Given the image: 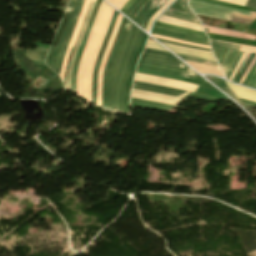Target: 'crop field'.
I'll return each mask as SVG.
<instances>
[{"instance_id": "5142ce71", "label": "crop field", "mask_w": 256, "mask_h": 256, "mask_svg": "<svg viewBox=\"0 0 256 256\" xmlns=\"http://www.w3.org/2000/svg\"><path fill=\"white\" fill-rule=\"evenodd\" d=\"M121 18H122V16L118 15V18H117V21H116V24H115V27H114L113 34H112V36L110 38L109 44H108V46H107V48L105 50V53L103 55L101 66H100V70H99L97 104L100 105V106H101V84H102V74H103L104 64L106 62V59L108 57V54H109L110 48L112 46L113 40L115 38L116 32H117L118 27L120 25Z\"/></svg>"}, {"instance_id": "4a817a6b", "label": "crop field", "mask_w": 256, "mask_h": 256, "mask_svg": "<svg viewBox=\"0 0 256 256\" xmlns=\"http://www.w3.org/2000/svg\"><path fill=\"white\" fill-rule=\"evenodd\" d=\"M226 84L237 97L256 102V91L245 87L236 86L228 82H226Z\"/></svg>"}, {"instance_id": "22f410ed", "label": "crop field", "mask_w": 256, "mask_h": 256, "mask_svg": "<svg viewBox=\"0 0 256 256\" xmlns=\"http://www.w3.org/2000/svg\"><path fill=\"white\" fill-rule=\"evenodd\" d=\"M101 1L102 0H97L95 5H94V9H93L90 21L88 23V26H87L86 32L84 34L83 40H82L81 45L79 47V50L77 52V56H76V60H75V64H74V68H73V72H72V77H71V91H75V76H76V70H77L78 62H79V59H80L81 53L83 51V48H84V45H85L88 33H89V31H90V29L92 27L95 15L97 13V10H98V7H99Z\"/></svg>"}, {"instance_id": "ac0d7876", "label": "crop field", "mask_w": 256, "mask_h": 256, "mask_svg": "<svg viewBox=\"0 0 256 256\" xmlns=\"http://www.w3.org/2000/svg\"><path fill=\"white\" fill-rule=\"evenodd\" d=\"M114 10L102 2L95 18L91 33L79 62L76 77V94L91 103V77L98 50L102 44Z\"/></svg>"}, {"instance_id": "c035e120", "label": "crop field", "mask_w": 256, "mask_h": 256, "mask_svg": "<svg viewBox=\"0 0 256 256\" xmlns=\"http://www.w3.org/2000/svg\"><path fill=\"white\" fill-rule=\"evenodd\" d=\"M148 41H150V42H154V41H151V40H148Z\"/></svg>"}, {"instance_id": "750c4746", "label": "crop field", "mask_w": 256, "mask_h": 256, "mask_svg": "<svg viewBox=\"0 0 256 256\" xmlns=\"http://www.w3.org/2000/svg\"><path fill=\"white\" fill-rule=\"evenodd\" d=\"M110 4L114 5L119 10L128 0H107Z\"/></svg>"}, {"instance_id": "dd49c442", "label": "crop field", "mask_w": 256, "mask_h": 256, "mask_svg": "<svg viewBox=\"0 0 256 256\" xmlns=\"http://www.w3.org/2000/svg\"><path fill=\"white\" fill-rule=\"evenodd\" d=\"M167 0H136L125 12L129 19L145 29L148 20Z\"/></svg>"}, {"instance_id": "120bbe31", "label": "crop field", "mask_w": 256, "mask_h": 256, "mask_svg": "<svg viewBox=\"0 0 256 256\" xmlns=\"http://www.w3.org/2000/svg\"><path fill=\"white\" fill-rule=\"evenodd\" d=\"M223 2H228V3H234V4H239V5H245L246 0H219Z\"/></svg>"}, {"instance_id": "0bd39190", "label": "crop field", "mask_w": 256, "mask_h": 256, "mask_svg": "<svg viewBox=\"0 0 256 256\" xmlns=\"http://www.w3.org/2000/svg\"><path fill=\"white\" fill-rule=\"evenodd\" d=\"M245 54H246V53H244V54H243V56H242L241 60L239 61L238 65L236 66V68H235V70H234V72H233V74H232V76H231V78H230V81L232 80V78H233V76H234V74H235V72H236V70H237V68H238L239 64H240V63H241V61L243 60V58H244Z\"/></svg>"}, {"instance_id": "e1f06a70", "label": "crop field", "mask_w": 256, "mask_h": 256, "mask_svg": "<svg viewBox=\"0 0 256 256\" xmlns=\"http://www.w3.org/2000/svg\"><path fill=\"white\" fill-rule=\"evenodd\" d=\"M227 52H228V50H227V49H224V51H223V53H222V55H221V57H220V59H219V61H218L219 65H220V63L222 62V60H223V58L225 57V55L227 54Z\"/></svg>"}, {"instance_id": "733c2abd", "label": "crop field", "mask_w": 256, "mask_h": 256, "mask_svg": "<svg viewBox=\"0 0 256 256\" xmlns=\"http://www.w3.org/2000/svg\"><path fill=\"white\" fill-rule=\"evenodd\" d=\"M182 6L184 7L187 13H182L175 10L167 9L164 15L201 25L200 21L188 9L186 5V0H182Z\"/></svg>"}, {"instance_id": "5866460e", "label": "crop field", "mask_w": 256, "mask_h": 256, "mask_svg": "<svg viewBox=\"0 0 256 256\" xmlns=\"http://www.w3.org/2000/svg\"><path fill=\"white\" fill-rule=\"evenodd\" d=\"M158 40L162 41V42H168V43L183 45V44H179V43H175V42H171V41H166V40H161V39H158ZM183 46H187V45H183ZM188 47H192V48H196V49H202V50H209L210 51V49H205V48H199V47H193V46H188Z\"/></svg>"}, {"instance_id": "cbeb9de0", "label": "crop field", "mask_w": 256, "mask_h": 256, "mask_svg": "<svg viewBox=\"0 0 256 256\" xmlns=\"http://www.w3.org/2000/svg\"><path fill=\"white\" fill-rule=\"evenodd\" d=\"M151 33L159 34V35H164V36H168V37H172V38H176V39H180V40H185V41H189V42H193V43L209 45L208 39L199 38V37H193V36H189V35L173 32V31L161 29V28L154 27V26L152 28V32Z\"/></svg>"}, {"instance_id": "28ad6ade", "label": "crop field", "mask_w": 256, "mask_h": 256, "mask_svg": "<svg viewBox=\"0 0 256 256\" xmlns=\"http://www.w3.org/2000/svg\"><path fill=\"white\" fill-rule=\"evenodd\" d=\"M116 12H114L112 21H111L109 29H108V32H107L106 37H105V39L103 41V44L101 46V49H100V52H99V55L97 57L96 64H95L94 74H93V78H92V103H94V104H96L98 69H99V65H100V61H101L102 55H103L105 47H106V45H107V43L109 41V38L111 36L112 30H113V27H114V24H115L117 15H118V13H116Z\"/></svg>"}, {"instance_id": "1d83c4d3", "label": "crop field", "mask_w": 256, "mask_h": 256, "mask_svg": "<svg viewBox=\"0 0 256 256\" xmlns=\"http://www.w3.org/2000/svg\"><path fill=\"white\" fill-rule=\"evenodd\" d=\"M131 105H133V106H139V107L152 108V109H158V110H163V111H166V110H167V109H165V108H159V107H154V106H148V105H143V104H138V103H133V102H131Z\"/></svg>"}, {"instance_id": "bc2a9ffb", "label": "crop field", "mask_w": 256, "mask_h": 256, "mask_svg": "<svg viewBox=\"0 0 256 256\" xmlns=\"http://www.w3.org/2000/svg\"><path fill=\"white\" fill-rule=\"evenodd\" d=\"M147 35L144 34L141 44H140V48L137 54V57L133 63V67H132V71H131V75H130V79H129V83H128V87H127V91H126V98H125V108H124V113H128V100H129V95H130V87H131V81H132V77H133V73H134V69H135V65H136V61L140 55V53L142 52L144 45H145V41L147 39Z\"/></svg>"}, {"instance_id": "e52e79f7", "label": "crop field", "mask_w": 256, "mask_h": 256, "mask_svg": "<svg viewBox=\"0 0 256 256\" xmlns=\"http://www.w3.org/2000/svg\"><path fill=\"white\" fill-rule=\"evenodd\" d=\"M190 9L198 15H203L211 18L223 19L229 21L232 14L249 17L251 12L215 6L195 0H188Z\"/></svg>"}, {"instance_id": "d3111659", "label": "crop field", "mask_w": 256, "mask_h": 256, "mask_svg": "<svg viewBox=\"0 0 256 256\" xmlns=\"http://www.w3.org/2000/svg\"><path fill=\"white\" fill-rule=\"evenodd\" d=\"M154 37L157 38H162V39H166V40H171V41H175V42H179V43H183V44H187V45H193V46H199V47H206V48H210L209 46H203V45H198V44H193V43H188V42H183V41H179V40H175V39H171V38H167V37H163V36H159V35H153Z\"/></svg>"}, {"instance_id": "ae1a2a85", "label": "crop field", "mask_w": 256, "mask_h": 256, "mask_svg": "<svg viewBox=\"0 0 256 256\" xmlns=\"http://www.w3.org/2000/svg\"><path fill=\"white\" fill-rule=\"evenodd\" d=\"M173 0H168L156 13L155 15L149 20L147 27L145 29V31L148 32L152 22L154 21V19L172 2Z\"/></svg>"}, {"instance_id": "eef30255", "label": "crop field", "mask_w": 256, "mask_h": 256, "mask_svg": "<svg viewBox=\"0 0 256 256\" xmlns=\"http://www.w3.org/2000/svg\"><path fill=\"white\" fill-rule=\"evenodd\" d=\"M47 53L26 50V55L30 58L44 60Z\"/></svg>"}, {"instance_id": "a9b5d70f", "label": "crop field", "mask_w": 256, "mask_h": 256, "mask_svg": "<svg viewBox=\"0 0 256 256\" xmlns=\"http://www.w3.org/2000/svg\"><path fill=\"white\" fill-rule=\"evenodd\" d=\"M132 92L138 93V94H144V95H149V96H154L162 99H167V100H172V101H177L180 102V98L177 97H172V96H166V95H160V94H154V93H149V92H144V91H139V90H134L132 89Z\"/></svg>"}, {"instance_id": "028f5c9d", "label": "crop field", "mask_w": 256, "mask_h": 256, "mask_svg": "<svg viewBox=\"0 0 256 256\" xmlns=\"http://www.w3.org/2000/svg\"><path fill=\"white\" fill-rule=\"evenodd\" d=\"M135 0H129L124 6L123 8L120 10L122 13H124V11L134 2Z\"/></svg>"}, {"instance_id": "d32e631a", "label": "crop field", "mask_w": 256, "mask_h": 256, "mask_svg": "<svg viewBox=\"0 0 256 256\" xmlns=\"http://www.w3.org/2000/svg\"><path fill=\"white\" fill-rule=\"evenodd\" d=\"M148 48H153V49H157V50H162V51H165L161 46H159L158 44H155V43H150L148 42L147 43V46ZM167 52V51H166Z\"/></svg>"}, {"instance_id": "214f88e0", "label": "crop field", "mask_w": 256, "mask_h": 256, "mask_svg": "<svg viewBox=\"0 0 256 256\" xmlns=\"http://www.w3.org/2000/svg\"><path fill=\"white\" fill-rule=\"evenodd\" d=\"M155 26L162 27V28L169 29V30H173V31H177V32H181V33H185V34H190V35H194V36L207 38L205 33L197 32V31H194V30L185 29V28H181V27L172 26V25L162 23V22H158V21H156Z\"/></svg>"}, {"instance_id": "730fd06b", "label": "crop field", "mask_w": 256, "mask_h": 256, "mask_svg": "<svg viewBox=\"0 0 256 256\" xmlns=\"http://www.w3.org/2000/svg\"><path fill=\"white\" fill-rule=\"evenodd\" d=\"M131 97H134V98H141V99H147V100L156 101V102H162V103H168V104L178 105L177 102H172V101H167V100H162V99L153 98V97H147V96H142V95L132 94Z\"/></svg>"}, {"instance_id": "92a150f3", "label": "crop field", "mask_w": 256, "mask_h": 256, "mask_svg": "<svg viewBox=\"0 0 256 256\" xmlns=\"http://www.w3.org/2000/svg\"><path fill=\"white\" fill-rule=\"evenodd\" d=\"M158 20L163 21V22H167V23H171V24H175V25H179V26H183V27H187V28H191V29H195V30H199V31H203L202 27L199 26V25H195V24H192V23L172 19V18H169V17L164 16V15H162Z\"/></svg>"}, {"instance_id": "d8731c3e", "label": "crop field", "mask_w": 256, "mask_h": 256, "mask_svg": "<svg viewBox=\"0 0 256 256\" xmlns=\"http://www.w3.org/2000/svg\"><path fill=\"white\" fill-rule=\"evenodd\" d=\"M134 80L159 84V85L176 88V89H181V90H187V91H191V92H195L196 88L198 87L197 85L189 84V83L182 82V81L154 77V76L143 75V74H138V73H136Z\"/></svg>"}, {"instance_id": "412701ff", "label": "crop field", "mask_w": 256, "mask_h": 256, "mask_svg": "<svg viewBox=\"0 0 256 256\" xmlns=\"http://www.w3.org/2000/svg\"><path fill=\"white\" fill-rule=\"evenodd\" d=\"M140 69L153 70L191 79L194 72L170 53L145 49L138 63Z\"/></svg>"}, {"instance_id": "4177f3b9", "label": "crop field", "mask_w": 256, "mask_h": 256, "mask_svg": "<svg viewBox=\"0 0 256 256\" xmlns=\"http://www.w3.org/2000/svg\"><path fill=\"white\" fill-rule=\"evenodd\" d=\"M131 101H133V102H138V103H143V104H148V105L159 106V107H165V108H175V107H176V106H174V105H168V104L150 102V101L141 100V99H134V98H131Z\"/></svg>"}, {"instance_id": "f4fd0767", "label": "crop field", "mask_w": 256, "mask_h": 256, "mask_svg": "<svg viewBox=\"0 0 256 256\" xmlns=\"http://www.w3.org/2000/svg\"><path fill=\"white\" fill-rule=\"evenodd\" d=\"M211 42V47H212V50L214 52V55L218 61L222 51L224 48H228L230 49L226 58L223 60L222 64H221V67H222V70H223V73L225 75V78L229 80L237 62L239 61L242 53L241 52H249V53H256V48L254 47H248V46H244L240 44H234V43H226V42H219V41H213V40H210ZM241 47V49H240ZM240 49L241 52H238ZM249 53L246 54L243 62L241 63L234 79H233V82H235L238 74L240 73L242 67L244 66L248 56H249ZM256 60V56L253 58L250 66L248 67V69L245 71L241 81H240V84L242 83L244 77L246 76V74L248 73L249 69L251 68V66L253 65V63L255 62ZM246 78V77H245Z\"/></svg>"}, {"instance_id": "3316defc", "label": "crop field", "mask_w": 256, "mask_h": 256, "mask_svg": "<svg viewBox=\"0 0 256 256\" xmlns=\"http://www.w3.org/2000/svg\"><path fill=\"white\" fill-rule=\"evenodd\" d=\"M93 1H95V0H93ZM93 1H91L89 6H88V9L86 11L85 17L83 19L80 31L78 33L76 42L74 44V47H73V50H72V53H71V57H70V60H69V64H68L67 71H66V77H65V91L70 90V77H71V71H72V67H73V63H74L75 53H76V50L78 48L79 42L81 40L82 34L84 32V29H85V26L87 24L88 18H89L90 13H91V10L93 8V5L95 3Z\"/></svg>"}, {"instance_id": "8a807250", "label": "crop field", "mask_w": 256, "mask_h": 256, "mask_svg": "<svg viewBox=\"0 0 256 256\" xmlns=\"http://www.w3.org/2000/svg\"><path fill=\"white\" fill-rule=\"evenodd\" d=\"M144 32L122 18L103 75L102 106L123 113L125 90Z\"/></svg>"}, {"instance_id": "00972430", "label": "crop field", "mask_w": 256, "mask_h": 256, "mask_svg": "<svg viewBox=\"0 0 256 256\" xmlns=\"http://www.w3.org/2000/svg\"><path fill=\"white\" fill-rule=\"evenodd\" d=\"M208 31L210 33L214 34H219V35H226V36H233V37H240V38H247V39H254L256 40V36H251V35H246V34H240V33H235V32H230V31H225V30H220L216 28H210L207 27Z\"/></svg>"}, {"instance_id": "d9b57169", "label": "crop field", "mask_w": 256, "mask_h": 256, "mask_svg": "<svg viewBox=\"0 0 256 256\" xmlns=\"http://www.w3.org/2000/svg\"><path fill=\"white\" fill-rule=\"evenodd\" d=\"M90 0H86L85 1V4L83 6V9H82V12H81V15L79 17V20H78V23L76 25V28H75V31L73 33V36H72V39L70 41V44H69V47L67 49V52H66V55H65V58H64V61H63V65H62V69H61V74H60V77L62 79V81L64 82V74H65V70H66V66H67V61H68V57H69V53H70V50L75 42V39H76V36H77V33H78V30L80 28V25H81V22H82V19L84 17V14H85V11L87 9V6L89 4Z\"/></svg>"}, {"instance_id": "b80d0937", "label": "crop field", "mask_w": 256, "mask_h": 256, "mask_svg": "<svg viewBox=\"0 0 256 256\" xmlns=\"http://www.w3.org/2000/svg\"><path fill=\"white\" fill-rule=\"evenodd\" d=\"M161 43H162V42H161ZM162 44L171 45V46H176V47H182V46H177V45L168 44V43H162ZM182 48H186V47H182ZM187 49H191V48H187ZM192 50H195V49H192ZM198 51H202V50H198ZM204 52H209V51H204ZM210 53H211V52H210Z\"/></svg>"}, {"instance_id": "d1516ede", "label": "crop field", "mask_w": 256, "mask_h": 256, "mask_svg": "<svg viewBox=\"0 0 256 256\" xmlns=\"http://www.w3.org/2000/svg\"><path fill=\"white\" fill-rule=\"evenodd\" d=\"M133 88L144 90V91H149V92L173 95V96H177L180 98L191 93V92L171 89V88H167V87H162V86H158V85L145 84V83L136 82V81H134Z\"/></svg>"}, {"instance_id": "34b2d1b8", "label": "crop field", "mask_w": 256, "mask_h": 256, "mask_svg": "<svg viewBox=\"0 0 256 256\" xmlns=\"http://www.w3.org/2000/svg\"><path fill=\"white\" fill-rule=\"evenodd\" d=\"M84 0H70L65 11L63 20L53 40L52 47L46 57V64L58 75L62 61L74 31Z\"/></svg>"}, {"instance_id": "5a996713", "label": "crop field", "mask_w": 256, "mask_h": 256, "mask_svg": "<svg viewBox=\"0 0 256 256\" xmlns=\"http://www.w3.org/2000/svg\"><path fill=\"white\" fill-rule=\"evenodd\" d=\"M176 55L179 56L182 60H184L185 62H188V63L220 69L217 62H214V61L204 60V59H200V58L192 57V56H188V55H180V54H176ZM192 64H189V65H191L194 69H196L200 73L216 74V75H219V76L223 77L222 74H221V71H219V70L206 68V67H201V66H196V65H192Z\"/></svg>"}, {"instance_id": "bd1437ed", "label": "crop field", "mask_w": 256, "mask_h": 256, "mask_svg": "<svg viewBox=\"0 0 256 256\" xmlns=\"http://www.w3.org/2000/svg\"><path fill=\"white\" fill-rule=\"evenodd\" d=\"M247 86H250V87H253V88L256 89V71L254 72V74L249 79V81L247 83Z\"/></svg>"}, {"instance_id": "dafd665d", "label": "crop field", "mask_w": 256, "mask_h": 256, "mask_svg": "<svg viewBox=\"0 0 256 256\" xmlns=\"http://www.w3.org/2000/svg\"><path fill=\"white\" fill-rule=\"evenodd\" d=\"M166 47L169 48L171 51H173L175 53L188 54V55H193V56L202 57V58H206V59H210V60L215 61L212 54H209V53L197 52V51L186 50V49L175 48V47H169V46H166Z\"/></svg>"}]
</instances>
